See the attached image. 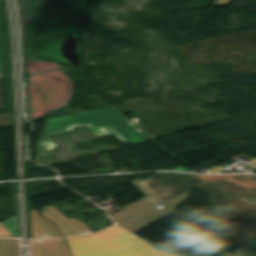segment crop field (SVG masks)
<instances>
[{
  "label": "crop field",
  "mask_w": 256,
  "mask_h": 256,
  "mask_svg": "<svg viewBox=\"0 0 256 256\" xmlns=\"http://www.w3.org/2000/svg\"><path fill=\"white\" fill-rule=\"evenodd\" d=\"M131 183L153 204L198 187L210 196L216 220L239 246L256 238V176L165 173Z\"/></svg>",
  "instance_id": "obj_1"
},
{
  "label": "crop field",
  "mask_w": 256,
  "mask_h": 256,
  "mask_svg": "<svg viewBox=\"0 0 256 256\" xmlns=\"http://www.w3.org/2000/svg\"><path fill=\"white\" fill-rule=\"evenodd\" d=\"M84 124L98 136L115 132L122 141H128L131 145L148 141L124 115L111 106L48 120L37 146L52 150L57 145L46 135Z\"/></svg>",
  "instance_id": "obj_2"
},
{
  "label": "crop field",
  "mask_w": 256,
  "mask_h": 256,
  "mask_svg": "<svg viewBox=\"0 0 256 256\" xmlns=\"http://www.w3.org/2000/svg\"><path fill=\"white\" fill-rule=\"evenodd\" d=\"M73 256H177L115 226L97 235L66 239Z\"/></svg>",
  "instance_id": "obj_3"
},
{
  "label": "crop field",
  "mask_w": 256,
  "mask_h": 256,
  "mask_svg": "<svg viewBox=\"0 0 256 256\" xmlns=\"http://www.w3.org/2000/svg\"><path fill=\"white\" fill-rule=\"evenodd\" d=\"M191 191H193V189L183 192L167 201L164 200L165 202H162L164 206L162 210L154 207L128 221L119 224V226L135 234L146 227L148 224L173 211L177 206L188 199V194Z\"/></svg>",
  "instance_id": "obj_4"
},
{
  "label": "crop field",
  "mask_w": 256,
  "mask_h": 256,
  "mask_svg": "<svg viewBox=\"0 0 256 256\" xmlns=\"http://www.w3.org/2000/svg\"><path fill=\"white\" fill-rule=\"evenodd\" d=\"M42 214L52 221H54L58 227L61 228L64 236L89 233L92 232L85 225L80 223L76 219H67L61 212L55 209L53 206L45 207Z\"/></svg>",
  "instance_id": "obj_5"
},
{
  "label": "crop field",
  "mask_w": 256,
  "mask_h": 256,
  "mask_svg": "<svg viewBox=\"0 0 256 256\" xmlns=\"http://www.w3.org/2000/svg\"><path fill=\"white\" fill-rule=\"evenodd\" d=\"M30 20L54 18L59 12L57 0H25Z\"/></svg>",
  "instance_id": "obj_6"
},
{
  "label": "crop field",
  "mask_w": 256,
  "mask_h": 256,
  "mask_svg": "<svg viewBox=\"0 0 256 256\" xmlns=\"http://www.w3.org/2000/svg\"><path fill=\"white\" fill-rule=\"evenodd\" d=\"M34 256H69L64 241H34Z\"/></svg>",
  "instance_id": "obj_7"
},
{
  "label": "crop field",
  "mask_w": 256,
  "mask_h": 256,
  "mask_svg": "<svg viewBox=\"0 0 256 256\" xmlns=\"http://www.w3.org/2000/svg\"><path fill=\"white\" fill-rule=\"evenodd\" d=\"M38 210L32 211V227L34 237L52 238L61 237L56 227L49 221L43 219L37 214Z\"/></svg>",
  "instance_id": "obj_8"
},
{
  "label": "crop field",
  "mask_w": 256,
  "mask_h": 256,
  "mask_svg": "<svg viewBox=\"0 0 256 256\" xmlns=\"http://www.w3.org/2000/svg\"><path fill=\"white\" fill-rule=\"evenodd\" d=\"M152 206V204L146 200L145 198L139 200V201H136L132 204H129L127 206H125L124 208H126L125 210L111 216V218L117 222L119 220H122L124 218H127L131 215H134L148 207Z\"/></svg>",
  "instance_id": "obj_9"
},
{
  "label": "crop field",
  "mask_w": 256,
  "mask_h": 256,
  "mask_svg": "<svg viewBox=\"0 0 256 256\" xmlns=\"http://www.w3.org/2000/svg\"><path fill=\"white\" fill-rule=\"evenodd\" d=\"M0 256H19L18 240L0 239Z\"/></svg>",
  "instance_id": "obj_10"
},
{
  "label": "crop field",
  "mask_w": 256,
  "mask_h": 256,
  "mask_svg": "<svg viewBox=\"0 0 256 256\" xmlns=\"http://www.w3.org/2000/svg\"><path fill=\"white\" fill-rule=\"evenodd\" d=\"M237 256H251L256 254V240H253L234 250Z\"/></svg>",
  "instance_id": "obj_11"
},
{
  "label": "crop field",
  "mask_w": 256,
  "mask_h": 256,
  "mask_svg": "<svg viewBox=\"0 0 256 256\" xmlns=\"http://www.w3.org/2000/svg\"><path fill=\"white\" fill-rule=\"evenodd\" d=\"M3 225L8 229V231L12 234L13 237H17L16 235V217L5 219L1 221Z\"/></svg>",
  "instance_id": "obj_12"
},
{
  "label": "crop field",
  "mask_w": 256,
  "mask_h": 256,
  "mask_svg": "<svg viewBox=\"0 0 256 256\" xmlns=\"http://www.w3.org/2000/svg\"><path fill=\"white\" fill-rule=\"evenodd\" d=\"M13 125V115L10 113L0 115V127Z\"/></svg>",
  "instance_id": "obj_13"
},
{
  "label": "crop field",
  "mask_w": 256,
  "mask_h": 256,
  "mask_svg": "<svg viewBox=\"0 0 256 256\" xmlns=\"http://www.w3.org/2000/svg\"><path fill=\"white\" fill-rule=\"evenodd\" d=\"M0 236L12 237L11 234L6 230V228L0 222Z\"/></svg>",
  "instance_id": "obj_14"
},
{
  "label": "crop field",
  "mask_w": 256,
  "mask_h": 256,
  "mask_svg": "<svg viewBox=\"0 0 256 256\" xmlns=\"http://www.w3.org/2000/svg\"><path fill=\"white\" fill-rule=\"evenodd\" d=\"M229 163H231V162H229ZM229 163H227V164H229ZM227 164H225V165H227ZM225 165H223V166H225ZM223 166H221V167H216V168H214L213 170L209 171L208 173H217V172L223 170V169H222Z\"/></svg>",
  "instance_id": "obj_15"
},
{
  "label": "crop field",
  "mask_w": 256,
  "mask_h": 256,
  "mask_svg": "<svg viewBox=\"0 0 256 256\" xmlns=\"http://www.w3.org/2000/svg\"><path fill=\"white\" fill-rule=\"evenodd\" d=\"M172 170H176V171H185V172H191L189 171L188 169H186L185 167L181 166V167H177V168H174Z\"/></svg>",
  "instance_id": "obj_16"
},
{
  "label": "crop field",
  "mask_w": 256,
  "mask_h": 256,
  "mask_svg": "<svg viewBox=\"0 0 256 256\" xmlns=\"http://www.w3.org/2000/svg\"><path fill=\"white\" fill-rule=\"evenodd\" d=\"M0 2H1V0H0ZM0 71H2L1 40H0Z\"/></svg>",
  "instance_id": "obj_17"
},
{
  "label": "crop field",
  "mask_w": 256,
  "mask_h": 256,
  "mask_svg": "<svg viewBox=\"0 0 256 256\" xmlns=\"http://www.w3.org/2000/svg\"><path fill=\"white\" fill-rule=\"evenodd\" d=\"M221 256H235V255H233V254L227 252V253H225V254H223V255H221ZM254 256H256V255H254Z\"/></svg>",
  "instance_id": "obj_18"
},
{
  "label": "crop field",
  "mask_w": 256,
  "mask_h": 256,
  "mask_svg": "<svg viewBox=\"0 0 256 256\" xmlns=\"http://www.w3.org/2000/svg\"><path fill=\"white\" fill-rule=\"evenodd\" d=\"M249 164H253V165H255V164H256V159H255V160H253L252 162H250Z\"/></svg>",
  "instance_id": "obj_19"
}]
</instances>
